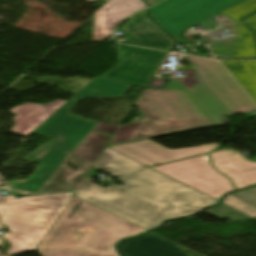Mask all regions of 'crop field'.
<instances>
[{
	"label": "crop field",
	"instance_id": "obj_1",
	"mask_svg": "<svg viewBox=\"0 0 256 256\" xmlns=\"http://www.w3.org/2000/svg\"><path fill=\"white\" fill-rule=\"evenodd\" d=\"M186 58L230 111L217 114L183 78L173 79L164 90L143 92L135 106L146 114L145 118L121 126L108 146L220 126L227 123L224 116L256 110L218 62Z\"/></svg>",
	"mask_w": 256,
	"mask_h": 256
},
{
	"label": "crop field",
	"instance_id": "obj_2",
	"mask_svg": "<svg viewBox=\"0 0 256 256\" xmlns=\"http://www.w3.org/2000/svg\"><path fill=\"white\" fill-rule=\"evenodd\" d=\"M86 180L74 195L146 230L164 220L193 215L217 201L146 168L105 189Z\"/></svg>",
	"mask_w": 256,
	"mask_h": 256
},
{
	"label": "crop field",
	"instance_id": "obj_3",
	"mask_svg": "<svg viewBox=\"0 0 256 256\" xmlns=\"http://www.w3.org/2000/svg\"><path fill=\"white\" fill-rule=\"evenodd\" d=\"M146 230L75 196L43 239L42 256H119L122 238Z\"/></svg>",
	"mask_w": 256,
	"mask_h": 256
},
{
	"label": "crop field",
	"instance_id": "obj_4",
	"mask_svg": "<svg viewBox=\"0 0 256 256\" xmlns=\"http://www.w3.org/2000/svg\"><path fill=\"white\" fill-rule=\"evenodd\" d=\"M131 85L103 77L94 78L32 134L50 139L24 159L40 166L28 179L6 182L11 189L37 192L63 165L98 122L69 114L78 100L87 97H122Z\"/></svg>",
	"mask_w": 256,
	"mask_h": 256
},
{
	"label": "crop field",
	"instance_id": "obj_5",
	"mask_svg": "<svg viewBox=\"0 0 256 256\" xmlns=\"http://www.w3.org/2000/svg\"><path fill=\"white\" fill-rule=\"evenodd\" d=\"M74 193L22 197L0 196V220L11 234L9 256L35 250Z\"/></svg>",
	"mask_w": 256,
	"mask_h": 256
},
{
	"label": "crop field",
	"instance_id": "obj_6",
	"mask_svg": "<svg viewBox=\"0 0 256 256\" xmlns=\"http://www.w3.org/2000/svg\"><path fill=\"white\" fill-rule=\"evenodd\" d=\"M241 0H166L149 9V15L176 40L182 32Z\"/></svg>",
	"mask_w": 256,
	"mask_h": 256
},
{
	"label": "crop field",
	"instance_id": "obj_7",
	"mask_svg": "<svg viewBox=\"0 0 256 256\" xmlns=\"http://www.w3.org/2000/svg\"><path fill=\"white\" fill-rule=\"evenodd\" d=\"M151 168L217 201L234 191L230 180L211 166L207 154Z\"/></svg>",
	"mask_w": 256,
	"mask_h": 256
},
{
	"label": "crop field",
	"instance_id": "obj_8",
	"mask_svg": "<svg viewBox=\"0 0 256 256\" xmlns=\"http://www.w3.org/2000/svg\"><path fill=\"white\" fill-rule=\"evenodd\" d=\"M116 46L119 62L102 76L143 88L169 55L167 52Z\"/></svg>",
	"mask_w": 256,
	"mask_h": 256
},
{
	"label": "crop field",
	"instance_id": "obj_9",
	"mask_svg": "<svg viewBox=\"0 0 256 256\" xmlns=\"http://www.w3.org/2000/svg\"><path fill=\"white\" fill-rule=\"evenodd\" d=\"M219 147V144L201 145L191 148L170 150L149 139L108 147L147 167L206 153Z\"/></svg>",
	"mask_w": 256,
	"mask_h": 256
},
{
	"label": "crop field",
	"instance_id": "obj_10",
	"mask_svg": "<svg viewBox=\"0 0 256 256\" xmlns=\"http://www.w3.org/2000/svg\"><path fill=\"white\" fill-rule=\"evenodd\" d=\"M208 155L212 166L231 180L235 190L256 184V163L240 153L222 150Z\"/></svg>",
	"mask_w": 256,
	"mask_h": 256
},
{
	"label": "crop field",
	"instance_id": "obj_11",
	"mask_svg": "<svg viewBox=\"0 0 256 256\" xmlns=\"http://www.w3.org/2000/svg\"><path fill=\"white\" fill-rule=\"evenodd\" d=\"M145 11L131 17L122 27L121 30L130 38L122 43L171 51L175 42L145 14Z\"/></svg>",
	"mask_w": 256,
	"mask_h": 256
},
{
	"label": "crop field",
	"instance_id": "obj_12",
	"mask_svg": "<svg viewBox=\"0 0 256 256\" xmlns=\"http://www.w3.org/2000/svg\"><path fill=\"white\" fill-rule=\"evenodd\" d=\"M144 7L142 0H108L94 13L93 40L109 37L121 21Z\"/></svg>",
	"mask_w": 256,
	"mask_h": 256
},
{
	"label": "crop field",
	"instance_id": "obj_13",
	"mask_svg": "<svg viewBox=\"0 0 256 256\" xmlns=\"http://www.w3.org/2000/svg\"><path fill=\"white\" fill-rule=\"evenodd\" d=\"M122 256H192L186 248L177 245L153 232L118 245Z\"/></svg>",
	"mask_w": 256,
	"mask_h": 256
},
{
	"label": "crop field",
	"instance_id": "obj_14",
	"mask_svg": "<svg viewBox=\"0 0 256 256\" xmlns=\"http://www.w3.org/2000/svg\"><path fill=\"white\" fill-rule=\"evenodd\" d=\"M65 102L67 101L57 100L55 102L45 104L47 107L33 103H26L22 106L13 108L11 112L18 115L14 118L16 126L11 129V132L26 137L47 118L54 114L55 110Z\"/></svg>",
	"mask_w": 256,
	"mask_h": 256
},
{
	"label": "crop field",
	"instance_id": "obj_15",
	"mask_svg": "<svg viewBox=\"0 0 256 256\" xmlns=\"http://www.w3.org/2000/svg\"><path fill=\"white\" fill-rule=\"evenodd\" d=\"M94 167L121 179L144 166L106 148Z\"/></svg>",
	"mask_w": 256,
	"mask_h": 256
},
{
	"label": "crop field",
	"instance_id": "obj_16",
	"mask_svg": "<svg viewBox=\"0 0 256 256\" xmlns=\"http://www.w3.org/2000/svg\"><path fill=\"white\" fill-rule=\"evenodd\" d=\"M223 203L256 218V187L228 194Z\"/></svg>",
	"mask_w": 256,
	"mask_h": 256
},
{
	"label": "crop field",
	"instance_id": "obj_17",
	"mask_svg": "<svg viewBox=\"0 0 256 256\" xmlns=\"http://www.w3.org/2000/svg\"><path fill=\"white\" fill-rule=\"evenodd\" d=\"M201 25L205 31L214 34L213 39H233L231 31L238 28L219 13L201 22Z\"/></svg>",
	"mask_w": 256,
	"mask_h": 256
},
{
	"label": "crop field",
	"instance_id": "obj_18",
	"mask_svg": "<svg viewBox=\"0 0 256 256\" xmlns=\"http://www.w3.org/2000/svg\"><path fill=\"white\" fill-rule=\"evenodd\" d=\"M212 215H215L221 219H227L233 223H239L248 219H251L250 217L224 205L219 204L216 207L206 211Z\"/></svg>",
	"mask_w": 256,
	"mask_h": 256
},
{
	"label": "crop field",
	"instance_id": "obj_19",
	"mask_svg": "<svg viewBox=\"0 0 256 256\" xmlns=\"http://www.w3.org/2000/svg\"><path fill=\"white\" fill-rule=\"evenodd\" d=\"M211 50L218 58L238 57L235 47L211 48Z\"/></svg>",
	"mask_w": 256,
	"mask_h": 256
},
{
	"label": "crop field",
	"instance_id": "obj_20",
	"mask_svg": "<svg viewBox=\"0 0 256 256\" xmlns=\"http://www.w3.org/2000/svg\"><path fill=\"white\" fill-rule=\"evenodd\" d=\"M146 1L149 3V7H150V6H152V5H154V4L158 3V2H160V1H162V0H146Z\"/></svg>",
	"mask_w": 256,
	"mask_h": 256
},
{
	"label": "crop field",
	"instance_id": "obj_21",
	"mask_svg": "<svg viewBox=\"0 0 256 256\" xmlns=\"http://www.w3.org/2000/svg\"><path fill=\"white\" fill-rule=\"evenodd\" d=\"M98 169L94 168L91 170V172L89 173L88 177L90 176H94V174L97 172Z\"/></svg>",
	"mask_w": 256,
	"mask_h": 256
},
{
	"label": "crop field",
	"instance_id": "obj_22",
	"mask_svg": "<svg viewBox=\"0 0 256 256\" xmlns=\"http://www.w3.org/2000/svg\"><path fill=\"white\" fill-rule=\"evenodd\" d=\"M231 62H232V64L235 66V68L241 67V65L239 64L238 61H231Z\"/></svg>",
	"mask_w": 256,
	"mask_h": 256
},
{
	"label": "crop field",
	"instance_id": "obj_23",
	"mask_svg": "<svg viewBox=\"0 0 256 256\" xmlns=\"http://www.w3.org/2000/svg\"><path fill=\"white\" fill-rule=\"evenodd\" d=\"M232 33H233L234 39H239V37H238V31H237V30L233 31Z\"/></svg>",
	"mask_w": 256,
	"mask_h": 256
},
{
	"label": "crop field",
	"instance_id": "obj_24",
	"mask_svg": "<svg viewBox=\"0 0 256 256\" xmlns=\"http://www.w3.org/2000/svg\"><path fill=\"white\" fill-rule=\"evenodd\" d=\"M87 1L91 3V2H93V1H95V0H87ZM105 1H107V0H105Z\"/></svg>",
	"mask_w": 256,
	"mask_h": 256
},
{
	"label": "crop field",
	"instance_id": "obj_25",
	"mask_svg": "<svg viewBox=\"0 0 256 256\" xmlns=\"http://www.w3.org/2000/svg\"><path fill=\"white\" fill-rule=\"evenodd\" d=\"M1 254H2V252H0V256H1ZM4 256H6V255H4Z\"/></svg>",
	"mask_w": 256,
	"mask_h": 256
},
{
	"label": "crop field",
	"instance_id": "obj_26",
	"mask_svg": "<svg viewBox=\"0 0 256 256\" xmlns=\"http://www.w3.org/2000/svg\"><path fill=\"white\" fill-rule=\"evenodd\" d=\"M0 184H3V183L1 182V180H0Z\"/></svg>",
	"mask_w": 256,
	"mask_h": 256
},
{
	"label": "crop field",
	"instance_id": "obj_27",
	"mask_svg": "<svg viewBox=\"0 0 256 256\" xmlns=\"http://www.w3.org/2000/svg\"><path fill=\"white\" fill-rule=\"evenodd\" d=\"M0 228H2V226L0 225Z\"/></svg>",
	"mask_w": 256,
	"mask_h": 256
}]
</instances>
